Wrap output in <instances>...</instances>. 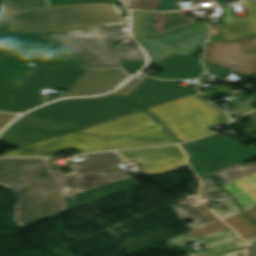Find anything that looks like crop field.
<instances>
[{
	"mask_svg": "<svg viewBox=\"0 0 256 256\" xmlns=\"http://www.w3.org/2000/svg\"><path fill=\"white\" fill-rule=\"evenodd\" d=\"M16 117L17 116H14V115L0 113V125H3V126H0V129L6 126L8 123H10Z\"/></svg>",
	"mask_w": 256,
	"mask_h": 256,
	"instance_id": "obj_37",
	"label": "crop field"
},
{
	"mask_svg": "<svg viewBox=\"0 0 256 256\" xmlns=\"http://www.w3.org/2000/svg\"><path fill=\"white\" fill-rule=\"evenodd\" d=\"M254 76H256V75H254Z\"/></svg>",
	"mask_w": 256,
	"mask_h": 256,
	"instance_id": "obj_46",
	"label": "crop field"
},
{
	"mask_svg": "<svg viewBox=\"0 0 256 256\" xmlns=\"http://www.w3.org/2000/svg\"><path fill=\"white\" fill-rule=\"evenodd\" d=\"M256 173V162L246 164H236L222 171L212 174L214 179L223 185L225 183L237 180L239 178ZM203 181V187L201 193L218 187L217 183L212 179L210 175L201 177ZM200 193V194H201Z\"/></svg>",
	"mask_w": 256,
	"mask_h": 256,
	"instance_id": "obj_18",
	"label": "crop field"
},
{
	"mask_svg": "<svg viewBox=\"0 0 256 256\" xmlns=\"http://www.w3.org/2000/svg\"><path fill=\"white\" fill-rule=\"evenodd\" d=\"M87 69L34 68L19 88L0 87V111L22 113L44 101H37L42 87L70 89Z\"/></svg>",
	"mask_w": 256,
	"mask_h": 256,
	"instance_id": "obj_8",
	"label": "crop field"
},
{
	"mask_svg": "<svg viewBox=\"0 0 256 256\" xmlns=\"http://www.w3.org/2000/svg\"><path fill=\"white\" fill-rule=\"evenodd\" d=\"M222 187L232 195L255 190L256 174L228 183Z\"/></svg>",
	"mask_w": 256,
	"mask_h": 256,
	"instance_id": "obj_24",
	"label": "crop field"
},
{
	"mask_svg": "<svg viewBox=\"0 0 256 256\" xmlns=\"http://www.w3.org/2000/svg\"><path fill=\"white\" fill-rule=\"evenodd\" d=\"M252 194H253V196L255 197V199H256V192H252Z\"/></svg>",
	"mask_w": 256,
	"mask_h": 256,
	"instance_id": "obj_45",
	"label": "crop field"
},
{
	"mask_svg": "<svg viewBox=\"0 0 256 256\" xmlns=\"http://www.w3.org/2000/svg\"><path fill=\"white\" fill-rule=\"evenodd\" d=\"M121 62L123 66L134 74L143 67L146 61L121 60Z\"/></svg>",
	"mask_w": 256,
	"mask_h": 256,
	"instance_id": "obj_34",
	"label": "crop field"
},
{
	"mask_svg": "<svg viewBox=\"0 0 256 256\" xmlns=\"http://www.w3.org/2000/svg\"><path fill=\"white\" fill-rule=\"evenodd\" d=\"M241 5L245 6L249 17L233 19L229 8H223L225 25L218 31L227 40H235L256 33V0L241 2Z\"/></svg>",
	"mask_w": 256,
	"mask_h": 256,
	"instance_id": "obj_16",
	"label": "crop field"
},
{
	"mask_svg": "<svg viewBox=\"0 0 256 256\" xmlns=\"http://www.w3.org/2000/svg\"><path fill=\"white\" fill-rule=\"evenodd\" d=\"M252 195H251V193H247V194H242L240 196L235 197V199L239 203L242 210L256 205V200L254 199V197ZM245 204H247V205H245Z\"/></svg>",
	"mask_w": 256,
	"mask_h": 256,
	"instance_id": "obj_29",
	"label": "crop field"
},
{
	"mask_svg": "<svg viewBox=\"0 0 256 256\" xmlns=\"http://www.w3.org/2000/svg\"><path fill=\"white\" fill-rule=\"evenodd\" d=\"M204 72L200 59L194 56L187 57L177 64L167 68L157 75L159 79H184L197 78Z\"/></svg>",
	"mask_w": 256,
	"mask_h": 256,
	"instance_id": "obj_19",
	"label": "crop field"
},
{
	"mask_svg": "<svg viewBox=\"0 0 256 256\" xmlns=\"http://www.w3.org/2000/svg\"><path fill=\"white\" fill-rule=\"evenodd\" d=\"M245 213L256 224V207L245 211Z\"/></svg>",
	"mask_w": 256,
	"mask_h": 256,
	"instance_id": "obj_38",
	"label": "crop field"
},
{
	"mask_svg": "<svg viewBox=\"0 0 256 256\" xmlns=\"http://www.w3.org/2000/svg\"><path fill=\"white\" fill-rule=\"evenodd\" d=\"M217 203L219 205L211 206V209L215 211L221 218L240 212V209L238 208L233 198L221 200Z\"/></svg>",
	"mask_w": 256,
	"mask_h": 256,
	"instance_id": "obj_25",
	"label": "crop field"
},
{
	"mask_svg": "<svg viewBox=\"0 0 256 256\" xmlns=\"http://www.w3.org/2000/svg\"><path fill=\"white\" fill-rule=\"evenodd\" d=\"M181 147L187 152L188 154V161L196 171L199 177L207 175L208 173L206 170L201 166V164L181 145Z\"/></svg>",
	"mask_w": 256,
	"mask_h": 256,
	"instance_id": "obj_33",
	"label": "crop field"
},
{
	"mask_svg": "<svg viewBox=\"0 0 256 256\" xmlns=\"http://www.w3.org/2000/svg\"><path fill=\"white\" fill-rule=\"evenodd\" d=\"M193 93H196L194 88L177 90L174 81L151 78L135 93L134 103L145 109Z\"/></svg>",
	"mask_w": 256,
	"mask_h": 256,
	"instance_id": "obj_14",
	"label": "crop field"
},
{
	"mask_svg": "<svg viewBox=\"0 0 256 256\" xmlns=\"http://www.w3.org/2000/svg\"><path fill=\"white\" fill-rule=\"evenodd\" d=\"M178 1H183V0H161L156 11L180 9L179 7L180 4L178 5ZM189 1H195V0H189Z\"/></svg>",
	"mask_w": 256,
	"mask_h": 256,
	"instance_id": "obj_32",
	"label": "crop field"
},
{
	"mask_svg": "<svg viewBox=\"0 0 256 256\" xmlns=\"http://www.w3.org/2000/svg\"><path fill=\"white\" fill-rule=\"evenodd\" d=\"M53 5H66V4H75V3H112V4H120L119 0H51ZM51 4V5H52Z\"/></svg>",
	"mask_w": 256,
	"mask_h": 256,
	"instance_id": "obj_28",
	"label": "crop field"
},
{
	"mask_svg": "<svg viewBox=\"0 0 256 256\" xmlns=\"http://www.w3.org/2000/svg\"><path fill=\"white\" fill-rule=\"evenodd\" d=\"M200 196H209V197H212L213 199H222V198L230 197V195H228L220 187L213 189L211 191H208L206 193H203Z\"/></svg>",
	"mask_w": 256,
	"mask_h": 256,
	"instance_id": "obj_35",
	"label": "crop field"
},
{
	"mask_svg": "<svg viewBox=\"0 0 256 256\" xmlns=\"http://www.w3.org/2000/svg\"><path fill=\"white\" fill-rule=\"evenodd\" d=\"M228 228V226H226L225 224H223L220 220L213 222L211 224H208L206 226H203L201 228H198L192 232H190L192 235H194L195 237L199 238L208 234H211L213 232L222 230Z\"/></svg>",
	"mask_w": 256,
	"mask_h": 256,
	"instance_id": "obj_26",
	"label": "crop field"
},
{
	"mask_svg": "<svg viewBox=\"0 0 256 256\" xmlns=\"http://www.w3.org/2000/svg\"><path fill=\"white\" fill-rule=\"evenodd\" d=\"M136 77V76H135ZM146 78L143 77H139L137 76L136 78H134L132 81H130L128 84H126L125 86H123L122 88H120L119 90H117L116 92L112 93V94H116V95H125V96H131L132 92L138 87L140 86L143 81Z\"/></svg>",
	"mask_w": 256,
	"mask_h": 256,
	"instance_id": "obj_27",
	"label": "crop field"
},
{
	"mask_svg": "<svg viewBox=\"0 0 256 256\" xmlns=\"http://www.w3.org/2000/svg\"><path fill=\"white\" fill-rule=\"evenodd\" d=\"M137 111L140 109L132 104L131 97L109 94L57 101L25 115L71 122L86 128Z\"/></svg>",
	"mask_w": 256,
	"mask_h": 256,
	"instance_id": "obj_7",
	"label": "crop field"
},
{
	"mask_svg": "<svg viewBox=\"0 0 256 256\" xmlns=\"http://www.w3.org/2000/svg\"><path fill=\"white\" fill-rule=\"evenodd\" d=\"M59 176L48 159H0V185L20 197L17 219L22 227L66 210L65 190L54 179Z\"/></svg>",
	"mask_w": 256,
	"mask_h": 256,
	"instance_id": "obj_3",
	"label": "crop field"
},
{
	"mask_svg": "<svg viewBox=\"0 0 256 256\" xmlns=\"http://www.w3.org/2000/svg\"><path fill=\"white\" fill-rule=\"evenodd\" d=\"M179 59H181V57L173 55V56H171V57H169V58H167V59H165V60L155 64V65H157L158 67L164 69L165 67L171 65L173 62H175V61H177Z\"/></svg>",
	"mask_w": 256,
	"mask_h": 256,
	"instance_id": "obj_36",
	"label": "crop field"
},
{
	"mask_svg": "<svg viewBox=\"0 0 256 256\" xmlns=\"http://www.w3.org/2000/svg\"><path fill=\"white\" fill-rule=\"evenodd\" d=\"M256 47V35L244 39L208 43L204 59L249 75L256 74V54L245 49Z\"/></svg>",
	"mask_w": 256,
	"mask_h": 256,
	"instance_id": "obj_11",
	"label": "crop field"
},
{
	"mask_svg": "<svg viewBox=\"0 0 256 256\" xmlns=\"http://www.w3.org/2000/svg\"><path fill=\"white\" fill-rule=\"evenodd\" d=\"M173 208L180 218H191L196 221L195 223L188 225L193 229L218 220V218L214 216L204 205L195 208L191 203L185 205L177 204L173 205Z\"/></svg>",
	"mask_w": 256,
	"mask_h": 256,
	"instance_id": "obj_20",
	"label": "crop field"
},
{
	"mask_svg": "<svg viewBox=\"0 0 256 256\" xmlns=\"http://www.w3.org/2000/svg\"><path fill=\"white\" fill-rule=\"evenodd\" d=\"M232 256H244V252H240V253L232 255Z\"/></svg>",
	"mask_w": 256,
	"mask_h": 256,
	"instance_id": "obj_43",
	"label": "crop field"
},
{
	"mask_svg": "<svg viewBox=\"0 0 256 256\" xmlns=\"http://www.w3.org/2000/svg\"><path fill=\"white\" fill-rule=\"evenodd\" d=\"M245 243H246L247 247H251V246L256 245V237L245 240Z\"/></svg>",
	"mask_w": 256,
	"mask_h": 256,
	"instance_id": "obj_40",
	"label": "crop field"
},
{
	"mask_svg": "<svg viewBox=\"0 0 256 256\" xmlns=\"http://www.w3.org/2000/svg\"><path fill=\"white\" fill-rule=\"evenodd\" d=\"M128 23L85 28L86 32L71 34H49L89 66L109 67L121 65L119 59L145 60L136 47H114L110 45L122 38H129L127 32H120Z\"/></svg>",
	"mask_w": 256,
	"mask_h": 256,
	"instance_id": "obj_5",
	"label": "crop field"
},
{
	"mask_svg": "<svg viewBox=\"0 0 256 256\" xmlns=\"http://www.w3.org/2000/svg\"><path fill=\"white\" fill-rule=\"evenodd\" d=\"M10 31L62 32L85 31L84 27L128 22L115 5L76 4L50 7L47 0H0Z\"/></svg>",
	"mask_w": 256,
	"mask_h": 256,
	"instance_id": "obj_2",
	"label": "crop field"
},
{
	"mask_svg": "<svg viewBox=\"0 0 256 256\" xmlns=\"http://www.w3.org/2000/svg\"><path fill=\"white\" fill-rule=\"evenodd\" d=\"M131 76L122 69H88L67 92L69 96H93L108 92Z\"/></svg>",
	"mask_w": 256,
	"mask_h": 256,
	"instance_id": "obj_13",
	"label": "crop field"
},
{
	"mask_svg": "<svg viewBox=\"0 0 256 256\" xmlns=\"http://www.w3.org/2000/svg\"><path fill=\"white\" fill-rule=\"evenodd\" d=\"M204 64L207 68V72L212 73V74H216L219 76H223L225 74H227V72L231 69L205 61L204 60Z\"/></svg>",
	"mask_w": 256,
	"mask_h": 256,
	"instance_id": "obj_31",
	"label": "crop field"
},
{
	"mask_svg": "<svg viewBox=\"0 0 256 256\" xmlns=\"http://www.w3.org/2000/svg\"><path fill=\"white\" fill-rule=\"evenodd\" d=\"M255 101H256V91H254L251 95H249L243 102L248 103V104H252Z\"/></svg>",
	"mask_w": 256,
	"mask_h": 256,
	"instance_id": "obj_39",
	"label": "crop field"
},
{
	"mask_svg": "<svg viewBox=\"0 0 256 256\" xmlns=\"http://www.w3.org/2000/svg\"><path fill=\"white\" fill-rule=\"evenodd\" d=\"M34 67L89 68L46 33L9 32L0 22V86L19 87Z\"/></svg>",
	"mask_w": 256,
	"mask_h": 256,
	"instance_id": "obj_4",
	"label": "crop field"
},
{
	"mask_svg": "<svg viewBox=\"0 0 256 256\" xmlns=\"http://www.w3.org/2000/svg\"><path fill=\"white\" fill-rule=\"evenodd\" d=\"M59 187L66 190V196L82 192L101 184L109 183L94 167L56 178Z\"/></svg>",
	"mask_w": 256,
	"mask_h": 256,
	"instance_id": "obj_17",
	"label": "crop field"
},
{
	"mask_svg": "<svg viewBox=\"0 0 256 256\" xmlns=\"http://www.w3.org/2000/svg\"><path fill=\"white\" fill-rule=\"evenodd\" d=\"M85 160L70 164L73 171L77 172L94 166L110 182L124 178L128 172L118 165L124 163L114 152L87 154L82 156Z\"/></svg>",
	"mask_w": 256,
	"mask_h": 256,
	"instance_id": "obj_15",
	"label": "crop field"
},
{
	"mask_svg": "<svg viewBox=\"0 0 256 256\" xmlns=\"http://www.w3.org/2000/svg\"><path fill=\"white\" fill-rule=\"evenodd\" d=\"M145 110L161 120L181 142L215 132L210 130L214 122L228 121L225 112L198 93Z\"/></svg>",
	"mask_w": 256,
	"mask_h": 256,
	"instance_id": "obj_6",
	"label": "crop field"
},
{
	"mask_svg": "<svg viewBox=\"0 0 256 256\" xmlns=\"http://www.w3.org/2000/svg\"><path fill=\"white\" fill-rule=\"evenodd\" d=\"M249 50H251V51L256 53V48H250Z\"/></svg>",
	"mask_w": 256,
	"mask_h": 256,
	"instance_id": "obj_44",
	"label": "crop field"
},
{
	"mask_svg": "<svg viewBox=\"0 0 256 256\" xmlns=\"http://www.w3.org/2000/svg\"><path fill=\"white\" fill-rule=\"evenodd\" d=\"M204 20L182 27L159 37L135 38L148 52L152 63L173 54L187 56L199 50L208 35Z\"/></svg>",
	"mask_w": 256,
	"mask_h": 256,
	"instance_id": "obj_9",
	"label": "crop field"
},
{
	"mask_svg": "<svg viewBox=\"0 0 256 256\" xmlns=\"http://www.w3.org/2000/svg\"><path fill=\"white\" fill-rule=\"evenodd\" d=\"M118 153L127 161L138 159L145 170L150 173L170 172L187 166L183 152L176 145L120 151Z\"/></svg>",
	"mask_w": 256,
	"mask_h": 256,
	"instance_id": "obj_12",
	"label": "crop field"
},
{
	"mask_svg": "<svg viewBox=\"0 0 256 256\" xmlns=\"http://www.w3.org/2000/svg\"><path fill=\"white\" fill-rule=\"evenodd\" d=\"M243 250H244V246L242 242L238 238H236V239L215 244L209 247L207 250H203L197 253H192L188 256H230L232 254H235Z\"/></svg>",
	"mask_w": 256,
	"mask_h": 256,
	"instance_id": "obj_22",
	"label": "crop field"
},
{
	"mask_svg": "<svg viewBox=\"0 0 256 256\" xmlns=\"http://www.w3.org/2000/svg\"><path fill=\"white\" fill-rule=\"evenodd\" d=\"M167 128L141 111L79 132H70L3 156H53L67 148L82 153L177 143Z\"/></svg>",
	"mask_w": 256,
	"mask_h": 256,
	"instance_id": "obj_1",
	"label": "crop field"
},
{
	"mask_svg": "<svg viewBox=\"0 0 256 256\" xmlns=\"http://www.w3.org/2000/svg\"><path fill=\"white\" fill-rule=\"evenodd\" d=\"M219 2V4H222V3H228V2H234L236 0H217Z\"/></svg>",
	"mask_w": 256,
	"mask_h": 256,
	"instance_id": "obj_42",
	"label": "crop field"
},
{
	"mask_svg": "<svg viewBox=\"0 0 256 256\" xmlns=\"http://www.w3.org/2000/svg\"><path fill=\"white\" fill-rule=\"evenodd\" d=\"M235 236L236 235L234 234V232L230 228H228V229L216 232L214 234H211V235L199 238V239H197L194 236H192L191 234L187 233V234L181 235L179 237L173 238L169 241H166V243L170 249L193 242V241H197L202 246H206V245H209V244L221 241V240L233 238Z\"/></svg>",
	"mask_w": 256,
	"mask_h": 256,
	"instance_id": "obj_21",
	"label": "crop field"
},
{
	"mask_svg": "<svg viewBox=\"0 0 256 256\" xmlns=\"http://www.w3.org/2000/svg\"><path fill=\"white\" fill-rule=\"evenodd\" d=\"M160 0H136L132 8L155 11Z\"/></svg>",
	"mask_w": 256,
	"mask_h": 256,
	"instance_id": "obj_30",
	"label": "crop field"
},
{
	"mask_svg": "<svg viewBox=\"0 0 256 256\" xmlns=\"http://www.w3.org/2000/svg\"><path fill=\"white\" fill-rule=\"evenodd\" d=\"M184 146L204 165L210 174L256 157L255 147L241 148L238 141L230 143L217 134L186 143Z\"/></svg>",
	"mask_w": 256,
	"mask_h": 256,
	"instance_id": "obj_10",
	"label": "crop field"
},
{
	"mask_svg": "<svg viewBox=\"0 0 256 256\" xmlns=\"http://www.w3.org/2000/svg\"><path fill=\"white\" fill-rule=\"evenodd\" d=\"M243 240L256 236V226L242 213L224 219Z\"/></svg>",
	"mask_w": 256,
	"mask_h": 256,
	"instance_id": "obj_23",
	"label": "crop field"
},
{
	"mask_svg": "<svg viewBox=\"0 0 256 256\" xmlns=\"http://www.w3.org/2000/svg\"><path fill=\"white\" fill-rule=\"evenodd\" d=\"M247 256H256V247L249 249L247 252Z\"/></svg>",
	"mask_w": 256,
	"mask_h": 256,
	"instance_id": "obj_41",
	"label": "crop field"
}]
</instances>
